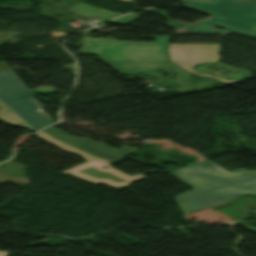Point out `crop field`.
Instances as JSON below:
<instances>
[{"mask_svg": "<svg viewBox=\"0 0 256 256\" xmlns=\"http://www.w3.org/2000/svg\"><path fill=\"white\" fill-rule=\"evenodd\" d=\"M218 45L170 44L171 60H218Z\"/></svg>", "mask_w": 256, "mask_h": 256, "instance_id": "crop-field-7", "label": "crop field"}, {"mask_svg": "<svg viewBox=\"0 0 256 256\" xmlns=\"http://www.w3.org/2000/svg\"><path fill=\"white\" fill-rule=\"evenodd\" d=\"M245 228L256 232V227L245 226Z\"/></svg>", "mask_w": 256, "mask_h": 256, "instance_id": "crop-field-13", "label": "crop field"}, {"mask_svg": "<svg viewBox=\"0 0 256 256\" xmlns=\"http://www.w3.org/2000/svg\"><path fill=\"white\" fill-rule=\"evenodd\" d=\"M108 61L113 68H115L120 73H141L151 77L160 78L159 75L156 74L157 69H164L165 72L176 73L174 80H188L191 76L200 78L203 80L202 83L188 85L184 87L175 88L176 92L182 91L192 87H198L204 84L216 83V80L203 78L195 76L186 71L180 70L176 68L169 61Z\"/></svg>", "mask_w": 256, "mask_h": 256, "instance_id": "crop-field-6", "label": "crop field"}, {"mask_svg": "<svg viewBox=\"0 0 256 256\" xmlns=\"http://www.w3.org/2000/svg\"><path fill=\"white\" fill-rule=\"evenodd\" d=\"M122 1H126V2H128V1H130V0H122Z\"/></svg>", "mask_w": 256, "mask_h": 256, "instance_id": "crop-field-15", "label": "crop field"}, {"mask_svg": "<svg viewBox=\"0 0 256 256\" xmlns=\"http://www.w3.org/2000/svg\"><path fill=\"white\" fill-rule=\"evenodd\" d=\"M149 11H153V12H157V13H160L161 14V16H164V17H166L167 19H168V23H167V25H169V26H171V27H173V28H175V29H177V27L174 25V23L170 20V18H168L167 17V12L166 11H161V10H156V9H148Z\"/></svg>", "mask_w": 256, "mask_h": 256, "instance_id": "crop-field-11", "label": "crop field"}, {"mask_svg": "<svg viewBox=\"0 0 256 256\" xmlns=\"http://www.w3.org/2000/svg\"><path fill=\"white\" fill-rule=\"evenodd\" d=\"M8 252H0V256H7Z\"/></svg>", "mask_w": 256, "mask_h": 256, "instance_id": "crop-field-14", "label": "crop field"}, {"mask_svg": "<svg viewBox=\"0 0 256 256\" xmlns=\"http://www.w3.org/2000/svg\"><path fill=\"white\" fill-rule=\"evenodd\" d=\"M36 136L65 152L81 155L88 161L62 173L75 175L92 183L103 182L118 190L144 178L143 173L129 176L109 166L123 160L122 156L137 151L136 148L125 146L113 150L101 142H94L84 137H74L53 126L42 130ZM102 166L108 168L104 169Z\"/></svg>", "mask_w": 256, "mask_h": 256, "instance_id": "crop-field-2", "label": "crop field"}, {"mask_svg": "<svg viewBox=\"0 0 256 256\" xmlns=\"http://www.w3.org/2000/svg\"><path fill=\"white\" fill-rule=\"evenodd\" d=\"M140 14H142V13H139V14H129L127 16L115 19V20L111 21L110 23L126 25V24L136 20L138 18V15H140Z\"/></svg>", "mask_w": 256, "mask_h": 256, "instance_id": "crop-field-10", "label": "crop field"}, {"mask_svg": "<svg viewBox=\"0 0 256 256\" xmlns=\"http://www.w3.org/2000/svg\"><path fill=\"white\" fill-rule=\"evenodd\" d=\"M170 173L194 189L174 197L184 214L248 193L256 194V170L229 172L206 160Z\"/></svg>", "mask_w": 256, "mask_h": 256, "instance_id": "crop-field-1", "label": "crop field"}, {"mask_svg": "<svg viewBox=\"0 0 256 256\" xmlns=\"http://www.w3.org/2000/svg\"><path fill=\"white\" fill-rule=\"evenodd\" d=\"M173 33H199V32H195V31H191V30L179 27V29L175 30Z\"/></svg>", "mask_w": 256, "mask_h": 256, "instance_id": "crop-field-12", "label": "crop field"}, {"mask_svg": "<svg viewBox=\"0 0 256 256\" xmlns=\"http://www.w3.org/2000/svg\"><path fill=\"white\" fill-rule=\"evenodd\" d=\"M153 43L126 42L117 39L85 38L83 54H93L100 59L112 60H167L165 46L168 36L156 37ZM98 45V46H94Z\"/></svg>", "mask_w": 256, "mask_h": 256, "instance_id": "crop-field-5", "label": "crop field"}, {"mask_svg": "<svg viewBox=\"0 0 256 256\" xmlns=\"http://www.w3.org/2000/svg\"><path fill=\"white\" fill-rule=\"evenodd\" d=\"M70 11L85 16L87 18L98 17L104 21L121 15L120 13H111L105 9H97L81 2L71 8Z\"/></svg>", "mask_w": 256, "mask_h": 256, "instance_id": "crop-field-8", "label": "crop field"}, {"mask_svg": "<svg viewBox=\"0 0 256 256\" xmlns=\"http://www.w3.org/2000/svg\"><path fill=\"white\" fill-rule=\"evenodd\" d=\"M174 64L182 67L183 69L187 70V71H190L192 73H195V74H198V75H201V76H205V77H213L221 82H227L229 84H234L238 81L236 80H225L223 78H217V77H214V76H210V75H206V74H202V73H196L192 70L193 66L195 64H198V63H203V62H215V61H172Z\"/></svg>", "mask_w": 256, "mask_h": 256, "instance_id": "crop-field-9", "label": "crop field"}, {"mask_svg": "<svg viewBox=\"0 0 256 256\" xmlns=\"http://www.w3.org/2000/svg\"><path fill=\"white\" fill-rule=\"evenodd\" d=\"M255 197H256V195H255Z\"/></svg>", "mask_w": 256, "mask_h": 256, "instance_id": "crop-field-16", "label": "crop field"}, {"mask_svg": "<svg viewBox=\"0 0 256 256\" xmlns=\"http://www.w3.org/2000/svg\"><path fill=\"white\" fill-rule=\"evenodd\" d=\"M182 7L209 14L211 19L199 21L195 25L175 21L180 27L203 33L224 35L235 31L256 38V2L250 0L243 3L234 0H185ZM216 26L226 28L227 31H215Z\"/></svg>", "mask_w": 256, "mask_h": 256, "instance_id": "crop-field-3", "label": "crop field"}, {"mask_svg": "<svg viewBox=\"0 0 256 256\" xmlns=\"http://www.w3.org/2000/svg\"><path fill=\"white\" fill-rule=\"evenodd\" d=\"M34 94L5 65L0 63V118L10 125L34 132L53 121L32 98ZM42 129V128H41Z\"/></svg>", "mask_w": 256, "mask_h": 256, "instance_id": "crop-field-4", "label": "crop field"}]
</instances>
